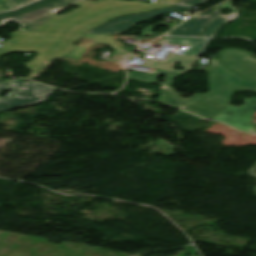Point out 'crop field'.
Segmentation results:
<instances>
[{
    "label": "crop field",
    "instance_id": "1",
    "mask_svg": "<svg viewBox=\"0 0 256 256\" xmlns=\"http://www.w3.org/2000/svg\"><path fill=\"white\" fill-rule=\"evenodd\" d=\"M169 5L158 2L145 4L140 1L82 0L74 4L80 6L79 9L63 16H54L31 32L16 31L13 39L3 42L0 55L11 52L12 47L39 49L34 60L25 64L32 70L27 78L32 79L52 60L67 56L84 31L120 15Z\"/></svg>",
    "mask_w": 256,
    "mask_h": 256
},
{
    "label": "crop field",
    "instance_id": "2",
    "mask_svg": "<svg viewBox=\"0 0 256 256\" xmlns=\"http://www.w3.org/2000/svg\"><path fill=\"white\" fill-rule=\"evenodd\" d=\"M176 91L169 87L161 86V95L158 101L193 112L205 118L221 120L233 127L246 132L254 133L250 124L255 105L247 104L240 108L228 106L229 100L220 99L203 94H195L188 101L175 97Z\"/></svg>",
    "mask_w": 256,
    "mask_h": 256
},
{
    "label": "crop field",
    "instance_id": "3",
    "mask_svg": "<svg viewBox=\"0 0 256 256\" xmlns=\"http://www.w3.org/2000/svg\"><path fill=\"white\" fill-rule=\"evenodd\" d=\"M79 0H41L16 11L0 14V26L12 20L21 24L19 30L30 31L54 16L56 10L66 8Z\"/></svg>",
    "mask_w": 256,
    "mask_h": 256
},
{
    "label": "crop field",
    "instance_id": "4",
    "mask_svg": "<svg viewBox=\"0 0 256 256\" xmlns=\"http://www.w3.org/2000/svg\"><path fill=\"white\" fill-rule=\"evenodd\" d=\"M219 59H211L209 68V92L204 93L232 100L238 90L256 93V83L243 79L221 64Z\"/></svg>",
    "mask_w": 256,
    "mask_h": 256
},
{
    "label": "crop field",
    "instance_id": "5",
    "mask_svg": "<svg viewBox=\"0 0 256 256\" xmlns=\"http://www.w3.org/2000/svg\"><path fill=\"white\" fill-rule=\"evenodd\" d=\"M12 98L0 97V111L23 107L45 100L55 89L32 82L12 81Z\"/></svg>",
    "mask_w": 256,
    "mask_h": 256
},
{
    "label": "crop field",
    "instance_id": "6",
    "mask_svg": "<svg viewBox=\"0 0 256 256\" xmlns=\"http://www.w3.org/2000/svg\"><path fill=\"white\" fill-rule=\"evenodd\" d=\"M159 43L160 44L170 43V44L190 47L188 50L184 51L182 55L169 53L166 59L163 61L147 58L145 63L142 65V66L153 68L151 71L152 73L167 76L174 57L196 59L195 56L203 48L205 44V40L166 37V38H163Z\"/></svg>",
    "mask_w": 256,
    "mask_h": 256
},
{
    "label": "crop field",
    "instance_id": "7",
    "mask_svg": "<svg viewBox=\"0 0 256 256\" xmlns=\"http://www.w3.org/2000/svg\"><path fill=\"white\" fill-rule=\"evenodd\" d=\"M219 63L237 75L256 82V60L245 50L225 49Z\"/></svg>",
    "mask_w": 256,
    "mask_h": 256
},
{
    "label": "crop field",
    "instance_id": "8",
    "mask_svg": "<svg viewBox=\"0 0 256 256\" xmlns=\"http://www.w3.org/2000/svg\"><path fill=\"white\" fill-rule=\"evenodd\" d=\"M185 8H188V7L175 5L172 7L151 11V12H147L139 15H128V16L119 17L86 33L119 34L129 29L133 25L139 22L145 21L149 18L155 17L163 13L177 11Z\"/></svg>",
    "mask_w": 256,
    "mask_h": 256
},
{
    "label": "crop field",
    "instance_id": "9",
    "mask_svg": "<svg viewBox=\"0 0 256 256\" xmlns=\"http://www.w3.org/2000/svg\"><path fill=\"white\" fill-rule=\"evenodd\" d=\"M219 11L220 10H213L211 13H202L183 23L166 35L200 37L203 30L208 26Z\"/></svg>",
    "mask_w": 256,
    "mask_h": 256
},
{
    "label": "crop field",
    "instance_id": "10",
    "mask_svg": "<svg viewBox=\"0 0 256 256\" xmlns=\"http://www.w3.org/2000/svg\"><path fill=\"white\" fill-rule=\"evenodd\" d=\"M176 62L181 63V67L184 68V70H173ZM196 60H188V59H178L175 58L173 61V64L170 68V72L167 77H165L164 82L159 83L157 80L161 77L159 75L143 72V71H136L133 70L129 74V78L137 79L145 82L165 85V86H171V83L173 79L177 76H180L181 74L188 72L191 70L192 66L195 64Z\"/></svg>",
    "mask_w": 256,
    "mask_h": 256
},
{
    "label": "crop field",
    "instance_id": "11",
    "mask_svg": "<svg viewBox=\"0 0 256 256\" xmlns=\"http://www.w3.org/2000/svg\"><path fill=\"white\" fill-rule=\"evenodd\" d=\"M238 15V12H231L228 15L219 14L202 37H214L226 22L235 20Z\"/></svg>",
    "mask_w": 256,
    "mask_h": 256
},
{
    "label": "crop field",
    "instance_id": "12",
    "mask_svg": "<svg viewBox=\"0 0 256 256\" xmlns=\"http://www.w3.org/2000/svg\"><path fill=\"white\" fill-rule=\"evenodd\" d=\"M83 37L94 39L97 43H107L114 49L113 56L125 58L128 54L127 51L116 45L112 39V35L84 34Z\"/></svg>",
    "mask_w": 256,
    "mask_h": 256
},
{
    "label": "crop field",
    "instance_id": "13",
    "mask_svg": "<svg viewBox=\"0 0 256 256\" xmlns=\"http://www.w3.org/2000/svg\"><path fill=\"white\" fill-rule=\"evenodd\" d=\"M84 47L75 46L71 53L68 55L69 58L80 59L84 52Z\"/></svg>",
    "mask_w": 256,
    "mask_h": 256
},
{
    "label": "crop field",
    "instance_id": "14",
    "mask_svg": "<svg viewBox=\"0 0 256 256\" xmlns=\"http://www.w3.org/2000/svg\"><path fill=\"white\" fill-rule=\"evenodd\" d=\"M12 10L8 0H0V12Z\"/></svg>",
    "mask_w": 256,
    "mask_h": 256
},
{
    "label": "crop field",
    "instance_id": "15",
    "mask_svg": "<svg viewBox=\"0 0 256 256\" xmlns=\"http://www.w3.org/2000/svg\"><path fill=\"white\" fill-rule=\"evenodd\" d=\"M204 1H206V0H182L181 2H179V4H186V5H195V6H199V5L202 4Z\"/></svg>",
    "mask_w": 256,
    "mask_h": 256
},
{
    "label": "crop field",
    "instance_id": "16",
    "mask_svg": "<svg viewBox=\"0 0 256 256\" xmlns=\"http://www.w3.org/2000/svg\"><path fill=\"white\" fill-rule=\"evenodd\" d=\"M11 1H12L13 5L16 8V7L22 6L24 4L30 3V2L35 1V0H11Z\"/></svg>",
    "mask_w": 256,
    "mask_h": 256
},
{
    "label": "crop field",
    "instance_id": "17",
    "mask_svg": "<svg viewBox=\"0 0 256 256\" xmlns=\"http://www.w3.org/2000/svg\"><path fill=\"white\" fill-rule=\"evenodd\" d=\"M9 83H10V82H7V83H0V89H1V90H8Z\"/></svg>",
    "mask_w": 256,
    "mask_h": 256
},
{
    "label": "crop field",
    "instance_id": "18",
    "mask_svg": "<svg viewBox=\"0 0 256 256\" xmlns=\"http://www.w3.org/2000/svg\"><path fill=\"white\" fill-rule=\"evenodd\" d=\"M12 50L24 51V52H37L38 51V50H32V49H19V48H13Z\"/></svg>",
    "mask_w": 256,
    "mask_h": 256
},
{
    "label": "crop field",
    "instance_id": "19",
    "mask_svg": "<svg viewBox=\"0 0 256 256\" xmlns=\"http://www.w3.org/2000/svg\"><path fill=\"white\" fill-rule=\"evenodd\" d=\"M249 175L256 177V166L250 169ZM255 191H256V189H255Z\"/></svg>",
    "mask_w": 256,
    "mask_h": 256
},
{
    "label": "crop field",
    "instance_id": "20",
    "mask_svg": "<svg viewBox=\"0 0 256 256\" xmlns=\"http://www.w3.org/2000/svg\"><path fill=\"white\" fill-rule=\"evenodd\" d=\"M246 102L256 105V99H253V98L248 99Z\"/></svg>",
    "mask_w": 256,
    "mask_h": 256
},
{
    "label": "crop field",
    "instance_id": "21",
    "mask_svg": "<svg viewBox=\"0 0 256 256\" xmlns=\"http://www.w3.org/2000/svg\"><path fill=\"white\" fill-rule=\"evenodd\" d=\"M156 1H163V2H171V3H175L178 0H156Z\"/></svg>",
    "mask_w": 256,
    "mask_h": 256
}]
</instances>
